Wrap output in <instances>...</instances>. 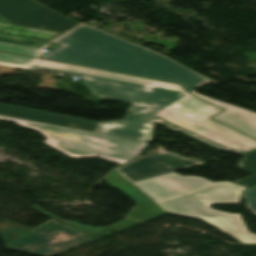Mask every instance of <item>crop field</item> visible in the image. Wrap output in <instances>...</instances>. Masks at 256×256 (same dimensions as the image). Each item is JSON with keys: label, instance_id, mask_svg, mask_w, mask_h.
Here are the masks:
<instances>
[{"label": "crop field", "instance_id": "1", "mask_svg": "<svg viewBox=\"0 0 256 256\" xmlns=\"http://www.w3.org/2000/svg\"><path fill=\"white\" fill-rule=\"evenodd\" d=\"M30 69L81 77L93 97L131 103L130 109L124 119L104 123L3 104L0 114L146 142L152 140L154 124L159 123L221 150L242 154L256 148V140L209 120L221 110L179 85L41 59Z\"/></svg>", "mask_w": 256, "mask_h": 256}, {"label": "crop field", "instance_id": "2", "mask_svg": "<svg viewBox=\"0 0 256 256\" xmlns=\"http://www.w3.org/2000/svg\"><path fill=\"white\" fill-rule=\"evenodd\" d=\"M52 42L62 46L43 58L173 81L188 91L209 82L159 54L86 25Z\"/></svg>", "mask_w": 256, "mask_h": 256}, {"label": "crop field", "instance_id": "3", "mask_svg": "<svg viewBox=\"0 0 256 256\" xmlns=\"http://www.w3.org/2000/svg\"><path fill=\"white\" fill-rule=\"evenodd\" d=\"M132 183L167 212L202 219L242 243L256 244V235L247 231L239 214L210 208L213 203L240 202L245 187L176 172Z\"/></svg>", "mask_w": 256, "mask_h": 256}, {"label": "crop field", "instance_id": "4", "mask_svg": "<svg viewBox=\"0 0 256 256\" xmlns=\"http://www.w3.org/2000/svg\"><path fill=\"white\" fill-rule=\"evenodd\" d=\"M1 120L13 121L17 125L42 133L44 143L73 157H94L123 164L145 147L146 142L124 139L103 134L80 131L60 126L1 116Z\"/></svg>", "mask_w": 256, "mask_h": 256}, {"label": "crop field", "instance_id": "5", "mask_svg": "<svg viewBox=\"0 0 256 256\" xmlns=\"http://www.w3.org/2000/svg\"><path fill=\"white\" fill-rule=\"evenodd\" d=\"M0 235L7 247L39 256H55L95 241L53 219L36 230L4 220Z\"/></svg>", "mask_w": 256, "mask_h": 256}, {"label": "crop field", "instance_id": "6", "mask_svg": "<svg viewBox=\"0 0 256 256\" xmlns=\"http://www.w3.org/2000/svg\"><path fill=\"white\" fill-rule=\"evenodd\" d=\"M0 15L12 24L60 32L80 25L31 0H0Z\"/></svg>", "mask_w": 256, "mask_h": 256}, {"label": "crop field", "instance_id": "7", "mask_svg": "<svg viewBox=\"0 0 256 256\" xmlns=\"http://www.w3.org/2000/svg\"><path fill=\"white\" fill-rule=\"evenodd\" d=\"M198 97L226 110L213 119L230 125L254 138H256V113L250 112L214 99L206 98L200 94L194 93Z\"/></svg>", "mask_w": 256, "mask_h": 256}, {"label": "crop field", "instance_id": "8", "mask_svg": "<svg viewBox=\"0 0 256 256\" xmlns=\"http://www.w3.org/2000/svg\"><path fill=\"white\" fill-rule=\"evenodd\" d=\"M60 34L15 27L0 18V42L39 47Z\"/></svg>", "mask_w": 256, "mask_h": 256}, {"label": "crop field", "instance_id": "9", "mask_svg": "<svg viewBox=\"0 0 256 256\" xmlns=\"http://www.w3.org/2000/svg\"><path fill=\"white\" fill-rule=\"evenodd\" d=\"M113 188H118L136 205L126 214V216L134 218L140 210L147 204L152 203L146 196H144L137 188H135L127 179H125L117 171H113L104 179Z\"/></svg>", "mask_w": 256, "mask_h": 256}, {"label": "crop field", "instance_id": "10", "mask_svg": "<svg viewBox=\"0 0 256 256\" xmlns=\"http://www.w3.org/2000/svg\"><path fill=\"white\" fill-rule=\"evenodd\" d=\"M117 171L131 182L134 180L170 172L171 170L147 157H143L125 167L117 169Z\"/></svg>", "mask_w": 256, "mask_h": 256}, {"label": "crop field", "instance_id": "11", "mask_svg": "<svg viewBox=\"0 0 256 256\" xmlns=\"http://www.w3.org/2000/svg\"><path fill=\"white\" fill-rule=\"evenodd\" d=\"M149 158L159 162L160 164L166 166L173 171L203 164L201 162L182 158L176 154L169 152H157L156 154L149 156Z\"/></svg>", "mask_w": 256, "mask_h": 256}, {"label": "crop field", "instance_id": "12", "mask_svg": "<svg viewBox=\"0 0 256 256\" xmlns=\"http://www.w3.org/2000/svg\"><path fill=\"white\" fill-rule=\"evenodd\" d=\"M243 160L238 162L239 169L253 174L252 176L234 182L246 187L256 184V150L250 151L248 153L242 154Z\"/></svg>", "mask_w": 256, "mask_h": 256}, {"label": "crop field", "instance_id": "13", "mask_svg": "<svg viewBox=\"0 0 256 256\" xmlns=\"http://www.w3.org/2000/svg\"><path fill=\"white\" fill-rule=\"evenodd\" d=\"M31 208L36 210V211H38V212H40V213H42V214H44V215H46V216H48V217H50V218H53V219H55V220H57V221H59V222H61L63 224H66V225H68V226H70V227H72V228H74V229H76V230L86 234V235H90V234H93L95 232H98V231H101V230H104V229H108V228H111L113 226L119 225V224H121L123 222H126L128 220H131V219L125 217V219L123 221L117 222V223H115V224H113V225H111L109 227L94 228V227L82 225V224H80V223H78L76 221H65L63 219H60V218H58V217H56V216H54V215H52V214L42 210L37 205H34Z\"/></svg>", "mask_w": 256, "mask_h": 256}, {"label": "crop field", "instance_id": "14", "mask_svg": "<svg viewBox=\"0 0 256 256\" xmlns=\"http://www.w3.org/2000/svg\"><path fill=\"white\" fill-rule=\"evenodd\" d=\"M46 44L47 43H45L42 46H40L39 48L35 49V48H31V47L0 43V50L37 57L38 55L41 54V50L46 46Z\"/></svg>", "mask_w": 256, "mask_h": 256}, {"label": "crop field", "instance_id": "15", "mask_svg": "<svg viewBox=\"0 0 256 256\" xmlns=\"http://www.w3.org/2000/svg\"><path fill=\"white\" fill-rule=\"evenodd\" d=\"M33 60H34L33 58H27V57L11 55V54H6V53L0 52V63L1 64H7V65H13V66L27 68Z\"/></svg>", "mask_w": 256, "mask_h": 256}, {"label": "crop field", "instance_id": "16", "mask_svg": "<svg viewBox=\"0 0 256 256\" xmlns=\"http://www.w3.org/2000/svg\"><path fill=\"white\" fill-rule=\"evenodd\" d=\"M166 213L159 209L155 203L146 206L142 212L136 217V219L141 220L143 222L148 221L150 219L165 215Z\"/></svg>", "mask_w": 256, "mask_h": 256}, {"label": "crop field", "instance_id": "17", "mask_svg": "<svg viewBox=\"0 0 256 256\" xmlns=\"http://www.w3.org/2000/svg\"><path fill=\"white\" fill-rule=\"evenodd\" d=\"M243 198H245L246 206L245 208L253 211L256 214V187L247 189L244 192Z\"/></svg>", "mask_w": 256, "mask_h": 256}, {"label": "crop field", "instance_id": "18", "mask_svg": "<svg viewBox=\"0 0 256 256\" xmlns=\"http://www.w3.org/2000/svg\"><path fill=\"white\" fill-rule=\"evenodd\" d=\"M136 224H139V222L132 221V222H129V223H126V224H123V225H120V226H117V227H114V228L105 230V231H103V232H100V233L91 235V237H93L94 239L98 240V239H100V238H103V237H105V236H108V235H110V234H113V233H111L112 231L118 232V231H120V230L126 229V228L131 227V226H134V225H136Z\"/></svg>", "mask_w": 256, "mask_h": 256}, {"label": "crop field", "instance_id": "19", "mask_svg": "<svg viewBox=\"0 0 256 256\" xmlns=\"http://www.w3.org/2000/svg\"><path fill=\"white\" fill-rule=\"evenodd\" d=\"M55 47H57V45H51V44H48V46H47V50H51V49H53V48H55Z\"/></svg>", "mask_w": 256, "mask_h": 256}]
</instances>
